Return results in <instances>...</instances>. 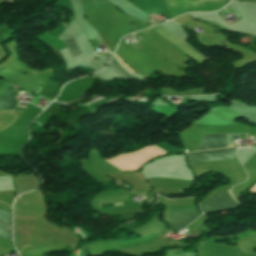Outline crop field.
<instances>
[{
    "label": "crop field",
    "instance_id": "obj_1",
    "mask_svg": "<svg viewBox=\"0 0 256 256\" xmlns=\"http://www.w3.org/2000/svg\"><path fill=\"white\" fill-rule=\"evenodd\" d=\"M173 18L186 12L217 11L224 7L229 0H163Z\"/></svg>",
    "mask_w": 256,
    "mask_h": 256
},
{
    "label": "crop field",
    "instance_id": "obj_2",
    "mask_svg": "<svg viewBox=\"0 0 256 256\" xmlns=\"http://www.w3.org/2000/svg\"><path fill=\"white\" fill-rule=\"evenodd\" d=\"M229 193L230 190L228 189ZM236 201V200H235ZM234 201V199L228 194L227 190L206 200L202 204V210L205 212H213V211H219V210H225V209H231L239 207L237 203Z\"/></svg>",
    "mask_w": 256,
    "mask_h": 256
},
{
    "label": "crop field",
    "instance_id": "obj_3",
    "mask_svg": "<svg viewBox=\"0 0 256 256\" xmlns=\"http://www.w3.org/2000/svg\"><path fill=\"white\" fill-rule=\"evenodd\" d=\"M234 148L186 154L190 163L233 159Z\"/></svg>",
    "mask_w": 256,
    "mask_h": 256
},
{
    "label": "crop field",
    "instance_id": "obj_4",
    "mask_svg": "<svg viewBox=\"0 0 256 256\" xmlns=\"http://www.w3.org/2000/svg\"><path fill=\"white\" fill-rule=\"evenodd\" d=\"M168 214L170 230L183 228L198 217L195 209L172 210Z\"/></svg>",
    "mask_w": 256,
    "mask_h": 256
},
{
    "label": "crop field",
    "instance_id": "obj_5",
    "mask_svg": "<svg viewBox=\"0 0 256 256\" xmlns=\"http://www.w3.org/2000/svg\"><path fill=\"white\" fill-rule=\"evenodd\" d=\"M227 147L226 134L204 136L198 151Z\"/></svg>",
    "mask_w": 256,
    "mask_h": 256
},
{
    "label": "crop field",
    "instance_id": "obj_6",
    "mask_svg": "<svg viewBox=\"0 0 256 256\" xmlns=\"http://www.w3.org/2000/svg\"><path fill=\"white\" fill-rule=\"evenodd\" d=\"M12 217L11 214L0 209V237L11 239Z\"/></svg>",
    "mask_w": 256,
    "mask_h": 256
},
{
    "label": "crop field",
    "instance_id": "obj_7",
    "mask_svg": "<svg viewBox=\"0 0 256 256\" xmlns=\"http://www.w3.org/2000/svg\"><path fill=\"white\" fill-rule=\"evenodd\" d=\"M158 28L160 31H162L164 34H166L168 37H170L172 40H174L175 42H177L178 44H180L181 46H183L184 48H186L188 51H190L194 56H196L199 60H201L202 62L205 61L204 59H202L200 56H198L196 53H194L192 50H190L188 47H186L184 44H182L179 40H177L175 37H173L171 34H169L167 31H165L163 28H161L160 26L156 27ZM156 28H153L156 32H158L160 35H162L164 38H166L169 42H171L174 46H176L177 48H179L181 51H183L184 53H186L188 56H190L191 58H193L196 62H198L199 64L202 63L201 61H199L196 57H194L191 53H189L187 50H185L183 47H181L180 45H178L177 43H175L174 41H172L170 38H168L166 35H164L163 33H161L159 30H157Z\"/></svg>",
    "mask_w": 256,
    "mask_h": 256
},
{
    "label": "crop field",
    "instance_id": "obj_8",
    "mask_svg": "<svg viewBox=\"0 0 256 256\" xmlns=\"http://www.w3.org/2000/svg\"><path fill=\"white\" fill-rule=\"evenodd\" d=\"M15 97L16 95L12 94V87L8 86L7 90L3 93V95L0 98V109H12V107L16 103Z\"/></svg>",
    "mask_w": 256,
    "mask_h": 256
},
{
    "label": "crop field",
    "instance_id": "obj_9",
    "mask_svg": "<svg viewBox=\"0 0 256 256\" xmlns=\"http://www.w3.org/2000/svg\"><path fill=\"white\" fill-rule=\"evenodd\" d=\"M114 56L133 74L135 73L134 71H132L125 63H123L119 57L114 54ZM112 57L130 76L132 75L115 57ZM111 59V61L127 76L129 77V75L113 60Z\"/></svg>",
    "mask_w": 256,
    "mask_h": 256
},
{
    "label": "crop field",
    "instance_id": "obj_10",
    "mask_svg": "<svg viewBox=\"0 0 256 256\" xmlns=\"http://www.w3.org/2000/svg\"><path fill=\"white\" fill-rule=\"evenodd\" d=\"M67 48L69 49V51L72 53L73 56H76V53L77 55L81 54V51L79 50V48L77 47V45L75 44V42L73 41V39L71 40H68V43L71 45V47L74 49V52L73 49L70 47V45L67 43V41H64Z\"/></svg>",
    "mask_w": 256,
    "mask_h": 256
},
{
    "label": "crop field",
    "instance_id": "obj_11",
    "mask_svg": "<svg viewBox=\"0 0 256 256\" xmlns=\"http://www.w3.org/2000/svg\"><path fill=\"white\" fill-rule=\"evenodd\" d=\"M22 107V106H21ZM21 107H17L16 110H23V108Z\"/></svg>",
    "mask_w": 256,
    "mask_h": 256
},
{
    "label": "crop field",
    "instance_id": "obj_12",
    "mask_svg": "<svg viewBox=\"0 0 256 256\" xmlns=\"http://www.w3.org/2000/svg\"><path fill=\"white\" fill-rule=\"evenodd\" d=\"M155 147V146H154ZM155 148H157V147H155ZM157 149H159V148H157ZM160 151H162L163 153H165V154H167L166 152H164L163 150H161V149H159Z\"/></svg>",
    "mask_w": 256,
    "mask_h": 256
},
{
    "label": "crop field",
    "instance_id": "obj_13",
    "mask_svg": "<svg viewBox=\"0 0 256 256\" xmlns=\"http://www.w3.org/2000/svg\"><path fill=\"white\" fill-rule=\"evenodd\" d=\"M231 146H234V145H231ZM229 147V146H228Z\"/></svg>",
    "mask_w": 256,
    "mask_h": 256
}]
</instances>
